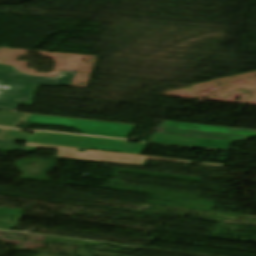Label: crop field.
Listing matches in <instances>:
<instances>
[{
    "mask_svg": "<svg viewBox=\"0 0 256 256\" xmlns=\"http://www.w3.org/2000/svg\"><path fill=\"white\" fill-rule=\"evenodd\" d=\"M249 136L256 137V130L164 121L149 142L229 150Z\"/></svg>",
    "mask_w": 256,
    "mask_h": 256,
    "instance_id": "1",
    "label": "crop field"
},
{
    "mask_svg": "<svg viewBox=\"0 0 256 256\" xmlns=\"http://www.w3.org/2000/svg\"><path fill=\"white\" fill-rule=\"evenodd\" d=\"M76 72L63 71L56 78L29 75L13 66L0 65V107L30 106L38 83L70 86Z\"/></svg>",
    "mask_w": 256,
    "mask_h": 256,
    "instance_id": "2",
    "label": "crop field"
},
{
    "mask_svg": "<svg viewBox=\"0 0 256 256\" xmlns=\"http://www.w3.org/2000/svg\"><path fill=\"white\" fill-rule=\"evenodd\" d=\"M29 142L141 154L146 143L36 132Z\"/></svg>",
    "mask_w": 256,
    "mask_h": 256,
    "instance_id": "3",
    "label": "crop field"
},
{
    "mask_svg": "<svg viewBox=\"0 0 256 256\" xmlns=\"http://www.w3.org/2000/svg\"><path fill=\"white\" fill-rule=\"evenodd\" d=\"M24 122L77 128L84 134L125 139L134 125L31 114Z\"/></svg>",
    "mask_w": 256,
    "mask_h": 256,
    "instance_id": "4",
    "label": "crop field"
},
{
    "mask_svg": "<svg viewBox=\"0 0 256 256\" xmlns=\"http://www.w3.org/2000/svg\"><path fill=\"white\" fill-rule=\"evenodd\" d=\"M27 146L59 149L57 157L86 159V160L113 162V163H123V164H131V165H138V166H142L146 159L192 163V162H187V161L153 158V157H145V156H136V155H128V154H120V153H112V152L105 153V152H101V151H91V150H86L85 153H78L80 149L53 147V146L37 145V144H30V143H28ZM199 164L218 166V167L225 166V165H219V164H206V163H199Z\"/></svg>",
    "mask_w": 256,
    "mask_h": 256,
    "instance_id": "5",
    "label": "crop field"
},
{
    "mask_svg": "<svg viewBox=\"0 0 256 256\" xmlns=\"http://www.w3.org/2000/svg\"><path fill=\"white\" fill-rule=\"evenodd\" d=\"M25 210L0 208V229L10 230L20 221Z\"/></svg>",
    "mask_w": 256,
    "mask_h": 256,
    "instance_id": "6",
    "label": "crop field"
},
{
    "mask_svg": "<svg viewBox=\"0 0 256 256\" xmlns=\"http://www.w3.org/2000/svg\"><path fill=\"white\" fill-rule=\"evenodd\" d=\"M24 113H14L0 111V126L16 128L18 124L27 116Z\"/></svg>",
    "mask_w": 256,
    "mask_h": 256,
    "instance_id": "7",
    "label": "crop field"
},
{
    "mask_svg": "<svg viewBox=\"0 0 256 256\" xmlns=\"http://www.w3.org/2000/svg\"><path fill=\"white\" fill-rule=\"evenodd\" d=\"M30 135L31 134H28V133H20V131H17V130L6 129L1 139L27 142Z\"/></svg>",
    "mask_w": 256,
    "mask_h": 256,
    "instance_id": "8",
    "label": "crop field"
},
{
    "mask_svg": "<svg viewBox=\"0 0 256 256\" xmlns=\"http://www.w3.org/2000/svg\"><path fill=\"white\" fill-rule=\"evenodd\" d=\"M14 142L11 141H5V140H0V151H6L10 152L13 150H20V151H28V152H34L36 149L33 148H25V147H19L13 144Z\"/></svg>",
    "mask_w": 256,
    "mask_h": 256,
    "instance_id": "9",
    "label": "crop field"
},
{
    "mask_svg": "<svg viewBox=\"0 0 256 256\" xmlns=\"http://www.w3.org/2000/svg\"><path fill=\"white\" fill-rule=\"evenodd\" d=\"M4 131H5V129H0V137L2 136Z\"/></svg>",
    "mask_w": 256,
    "mask_h": 256,
    "instance_id": "10",
    "label": "crop field"
}]
</instances>
